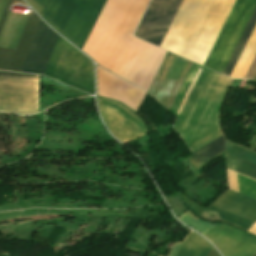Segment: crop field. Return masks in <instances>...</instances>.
Returning a JSON list of instances; mask_svg holds the SVG:
<instances>
[{"instance_id":"22f410ed","label":"crop field","mask_w":256,"mask_h":256,"mask_svg":"<svg viewBox=\"0 0 256 256\" xmlns=\"http://www.w3.org/2000/svg\"><path fill=\"white\" fill-rule=\"evenodd\" d=\"M16 2L25 5L22 0H7L0 20V31L10 4ZM40 19L31 11L20 37L16 50L0 48V70L20 72L34 37Z\"/></svg>"},{"instance_id":"d9b57169","label":"crop field","mask_w":256,"mask_h":256,"mask_svg":"<svg viewBox=\"0 0 256 256\" xmlns=\"http://www.w3.org/2000/svg\"><path fill=\"white\" fill-rule=\"evenodd\" d=\"M212 248L202 237L190 232L176 256H207Z\"/></svg>"},{"instance_id":"a9b5d70f","label":"crop field","mask_w":256,"mask_h":256,"mask_svg":"<svg viewBox=\"0 0 256 256\" xmlns=\"http://www.w3.org/2000/svg\"><path fill=\"white\" fill-rule=\"evenodd\" d=\"M254 79H256V76H255V78Z\"/></svg>"},{"instance_id":"5142ce71","label":"crop field","mask_w":256,"mask_h":256,"mask_svg":"<svg viewBox=\"0 0 256 256\" xmlns=\"http://www.w3.org/2000/svg\"><path fill=\"white\" fill-rule=\"evenodd\" d=\"M57 36L41 21L21 72L43 74Z\"/></svg>"},{"instance_id":"d8731c3e","label":"crop field","mask_w":256,"mask_h":256,"mask_svg":"<svg viewBox=\"0 0 256 256\" xmlns=\"http://www.w3.org/2000/svg\"><path fill=\"white\" fill-rule=\"evenodd\" d=\"M225 151L256 164V152L226 140ZM226 153L227 168L238 172L241 159ZM227 169L228 188L256 199V181ZM256 179V165L242 161L239 172Z\"/></svg>"},{"instance_id":"cbeb9de0","label":"crop field","mask_w":256,"mask_h":256,"mask_svg":"<svg viewBox=\"0 0 256 256\" xmlns=\"http://www.w3.org/2000/svg\"><path fill=\"white\" fill-rule=\"evenodd\" d=\"M98 95L121 101L137 111L146 92L97 67Z\"/></svg>"},{"instance_id":"e52e79f7","label":"crop field","mask_w":256,"mask_h":256,"mask_svg":"<svg viewBox=\"0 0 256 256\" xmlns=\"http://www.w3.org/2000/svg\"><path fill=\"white\" fill-rule=\"evenodd\" d=\"M206 211L247 230L256 221V200L227 189L206 208ZM206 211L200 217L222 221Z\"/></svg>"},{"instance_id":"f4fd0767","label":"crop field","mask_w":256,"mask_h":256,"mask_svg":"<svg viewBox=\"0 0 256 256\" xmlns=\"http://www.w3.org/2000/svg\"><path fill=\"white\" fill-rule=\"evenodd\" d=\"M255 5L256 0L235 1L204 66L222 73Z\"/></svg>"},{"instance_id":"4a817a6b","label":"crop field","mask_w":256,"mask_h":256,"mask_svg":"<svg viewBox=\"0 0 256 256\" xmlns=\"http://www.w3.org/2000/svg\"><path fill=\"white\" fill-rule=\"evenodd\" d=\"M255 24H256V7H255V9H254L249 21H248L243 33H242V35H241L233 53H232V55H231V57H230V59L227 63V65H226V67L223 71V74H225L227 76H230V74H231V72H232V70H233V68H234V66H235V64H236L244 46H245L253 28H254V26H255Z\"/></svg>"},{"instance_id":"733c2abd","label":"crop field","mask_w":256,"mask_h":256,"mask_svg":"<svg viewBox=\"0 0 256 256\" xmlns=\"http://www.w3.org/2000/svg\"><path fill=\"white\" fill-rule=\"evenodd\" d=\"M256 53V26L231 74V78H243Z\"/></svg>"},{"instance_id":"28ad6ade","label":"crop field","mask_w":256,"mask_h":256,"mask_svg":"<svg viewBox=\"0 0 256 256\" xmlns=\"http://www.w3.org/2000/svg\"><path fill=\"white\" fill-rule=\"evenodd\" d=\"M175 57L188 62L179 81L176 80L179 79L186 65V62L177 58L175 59L167 75L168 78L176 80L165 78ZM191 65L192 62L168 52L148 92L152 94L157 100H159L165 107L170 109Z\"/></svg>"},{"instance_id":"92a150f3","label":"crop field","mask_w":256,"mask_h":256,"mask_svg":"<svg viewBox=\"0 0 256 256\" xmlns=\"http://www.w3.org/2000/svg\"><path fill=\"white\" fill-rule=\"evenodd\" d=\"M180 244H181V242H180V243H176V244L174 245V247H173V249H172V251H171V253H170L169 256H174V255H175V253H176V251L178 250Z\"/></svg>"},{"instance_id":"214f88e0","label":"crop field","mask_w":256,"mask_h":256,"mask_svg":"<svg viewBox=\"0 0 256 256\" xmlns=\"http://www.w3.org/2000/svg\"><path fill=\"white\" fill-rule=\"evenodd\" d=\"M178 219L183 223H185L186 225H188L189 227L197 230L202 235L206 233L210 228L213 227V225L209 223H206L199 219L195 220L184 213Z\"/></svg>"},{"instance_id":"dafd665d","label":"crop field","mask_w":256,"mask_h":256,"mask_svg":"<svg viewBox=\"0 0 256 256\" xmlns=\"http://www.w3.org/2000/svg\"><path fill=\"white\" fill-rule=\"evenodd\" d=\"M208 256H219V254L213 248V250L210 252Z\"/></svg>"},{"instance_id":"34b2d1b8","label":"crop field","mask_w":256,"mask_h":256,"mask_svg":"<svg viewBox=\"0 0 256 256\" xmlns=\"http://www.w3.org/2000/svg\"><path fill=\"white\" fill-rule=\"evenodd\" d=\"M106 0H47L40 16L82 49Z\"/></svg>"},{"instance_id":"ac0d7876","label":"crop field","mask_w":256,"mask_h":256,"mask_svg":"<svg viewBox=\"0 0 256 256\" xmlns=\"http://www.w3.org/2000/svg\"><path fill=\"white\" fill-rule=\"evenodd\" d=\"M198 67L203 69L202 72L201 69H198ZM231 81L232 79L226 76L218 74L195 63L193 64L170 110L178 117V121L174 125V127L182 136V138L186 141V143L189 145L193 152L223 134L219 126V108L222 104V101L225 97ZM176 111L179 114L181 112V114H177Z\"/></svg>"},{"instance_id":"412701ff","label":"crop field","mask_w":256,"mask_h":256,"mask_svg":"<svg viewBox=\"0 0 256 256\" xmlns=\"http://www.w3.org/2000/svg\"><path fill=\"white\" fill-rule=\"evenodd\" d=\"M44 74L93 94L91 61L60 37Z\"/></svg>"},{"instance_id":"5a996713","label":"crop field","mask_w":256,"mask_h":256,"mask_svg":"<svg viewBox=\"0 0 256 256\" xmlns=\"http://www.w3.org/2000/svg\"><path fill=\"white\" fill-rule=\"evenodd\" d=\"M181 2L152 0L135 36L160 46Z\"/></svg>"},{"instance_id":"dd49c442","label":"crop field","mask_w":256,"mask_h":256,"mask_svg":"<svg viewBox=\"0 0 256 256\" xmlns=\"http://www.w3.org/2000/svg\"><path fill=\"white\" fill-rule=\"evenodd\" d=\"M39 76L0 72V111L36 112Z\"/></svg>"},{"instance_id":"bc2a9ffb","label":"crop field","mask_w":256,"mask_h":256,"mask_svg":"<svg viewBox=\"0 0 256 256\" xmlns=\"http://www.w3.org/2000/svg\"><path fill=\"white\" fill-rule=\"evenodd\" d=\"M225 137L221 135L203 148L193 153L190 158L196 167H199L212 156L224 150Z\"/></svg>"},{"instance_id":"00972430","label":"crop field","mask_w":256,"mask_h":256,"mask_svg":"<svg viewBox=\"0 0 256 256\" xmlns=\"http://www.w3.org/2000/svg\"><path fill=\"white\" fill-rule=\"evenodd\" d=\"M253 256H256V253Z\"/></svg>"},{"instance_id":"8a807250","label":"crop field","mask_w":256,"mask_h":256,"mask_svg":"<svg viewBox=\"0 0 256 256\" xmlns=\"http://www.w3.org/2000/svg\"><path fill=\"white\" fill-rule=\"evenodd\" d=\"M149 0H107L82 51L98 65L148 90L166 51L132 35Z\"/></svg>"},{"instance_id":"d1516ede","label":"crop field","mask_w":256,"mask_h":256,"mask_svg":"<svg viewBox=\"0 0 256 256\" xmlns=\"http://www.w3.org/2000/svg\"><path fill=\"white\" fill-rule=\"evenodd\" d=\"M203 236L224 256H251L256 252V237L231 225L219 223Z\"/></svg>"},{"instance_id":"3316defc","label":"crop field","mask_w":256,"mask_h":256,"mask_svg":"<svg viewBox=\"0 0 256 256\" xmlns=\"http://www.w3.org/2000/svg\"><path fill=\"white\" fill-rule=\"evenodd\" d=\"M98 106L108 128L123 143L149 133L140 118L118 103L98 98Z\"/></svg>"}]
</instances>
